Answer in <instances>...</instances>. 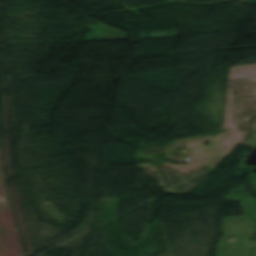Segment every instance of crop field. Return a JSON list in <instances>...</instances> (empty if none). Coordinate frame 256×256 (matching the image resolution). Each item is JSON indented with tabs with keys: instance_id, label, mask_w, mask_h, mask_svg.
Here are the masks:
<instances>
[{
	"instance_id": "8a807250",
	"label": "crop field",
	"mask_w": 256,
	"mask_h": 256,
	"mask_svg": "<svg viewBox=\"0 0 256 256\" xmlns=\"http://www.w3.org/2000/svg\"><path fill=\"white\" fill-rule=\"evenodd\" d=\"M193 1H195V0H193Z\"/></svg>"
}]
</instances>
